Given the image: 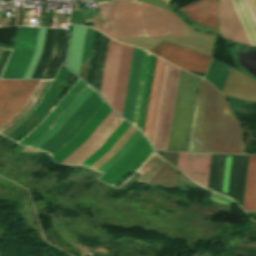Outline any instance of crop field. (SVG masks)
<instances>
[{
  "mask_svg": "<svg viewBox=\"0 0 256 256\" xmlns=\"http://www.w3.org/2000/svg\"><path fill=\"white\" fill-rule=\"evenodd\" d=\"M188 151L245 154L241 127L226 99L202 79Z\"/></svg>",
  "mask_w": 256,
  "mask_h": 256,
  "instance_id": "crop-field-1",
  "label": "crop field"
},
{
  "mask_svg": "<svg viewBox=\"0 0 256 256\" xmlns=\"http://www.w3.org/2000/svg\"><path fill=\"white\" fill-rule=\"evenodd\" d=\"M104 23L93 26L113 39L183 35L173 14L133 0L97 2Z\"/></svg>",
  "mask_w": 256,
  "mask_h": 256,
  "instance_id": "crop-field-2",
  "label": "crop field"
},
{
  "mask_svg": "<svg viewBox=\"0 0 256 256\" xmlns=\"http://www.w3.org/2000/svg\"><path fill=\"white\" fill-rule=\"evenodd\" d=\"M97 95L98 93L87 85L77 96V98L75 97L76 99L62 113L55 123L32 144H30L29 147L44 151L51 156L56 154L60 149H62L66 144L76 137V135L105 103L100 95Z\"/></svg>",
  "mask_w": 256,
  "mask_h": 256,
  "instance_id": "crop-field-3",
  "label": "crop field"
},
{
  "mask_svg": "<svg viewBox=\"0 0 256 256\" xmlns=\"http://www.w3.org/2000/svg\"><path fill=\"white\" fill-rule=\"evenodd\" d=\"M179 70L167 62H162L159 86L153 114L149 141L154 150H166Z\"/></svg>",
  "mask_w": 256,
  "mask_h": 256,
  "instance_id": "crop-field-4",
  "label": "crop field"
},
{
  "mask_svg": "<svg viewBox=\"0 0 256 256\" xmlns=\"http://www.w3.org/2000/svg\"><path fill=\"white\" fill-rule=\"evenodd\" d=\"M132 49L131 46L122 45L112 40L109 42L101 93L111 108L120 115L122 114Z\"/></svg>",
  "mask_w": 256,
  "mask_h": 256,
  "instance_id": "crop-field-5",
  "label": "crop field"
},
{
  "mask_svg": "<svg viewBox=\"0 0 256 256\" xmlns=\"http://www.w3.org/2000/svg\"><path fill=\"white\" fill-rule=\"evenodd\" d=\"M198 78L181 71L167 150L185 151Z\"/></svg>",
  "mask_w": 256,
  "mask_h": 256,
  "instance_id": "crop-field-6",
  "label": "crop field"
},
{
  "mask_svg": "<svg viewBox=\"0 0 256 256\" xmlns=\"http://www.w3.org/2000/svg\"><path fill=\"white\" fill-rule=\"evenodd\" d=\"M139 134L140 132L124 120L103 144V146L81 165L102 172L122 156ZM140 136L141 134L139 137ZM139 137L134 141V143L139 139ZM134 143L129 147V149L134 145ZM129 149L124 153V155L129 151ZM124 155L119 160H121ZM119 160L103 171V173L109 170Z\"/></svg>",
  "mask_w": 256,
  "mask_h": 256,
  "instance_id": "crop-field-7",
  "label": "crop field"
},
{
  "mask_svg": "<svg viewBox=\"0 0 256 256\" xmlns=\"http://www.w3.org/2000/svg\"><path fill=\"white\" fill-rule=\"evenodd\" d=\"M32 28L19 27L14 51L1 78L15 79L26 53ZM38 28H33L29 46L16 79H22L34 54Z\"/></svg>",
  "mask_w": 256,
  "mask_h": 256,
  "instance_id": "crop-field-8",
  "label": "crop field"
},
{
  "mask_svg": "<svg viewBox=\"0 0 256 256\" xmlns=\"http://www.w3.org/2000/svg\"><path fill=\"white\" fill-rule=\"evenodd\" d=\"M174 65L191 72L205 73L210 57L162 42L149 51Z\"/></svg>",
  "mask_w": 256,
  "mask_h": 256,
  "instance_id": "crop-field-9",
  "label": "crop field"
},
{
  "mask_svg": "<svg viewBox=\"0 0 256 256\" xmlns=\"http://www.w3.org/2000/svg\"><path fill=\"white\" fill-rule=\"evenodd\" d=\"M123 120L112 111L89 139L61 164L80 165L102 146Z\"/></svg>",
  "mask_w": 256,
  "mask_h": 256,
  "instance_id": "crop-field-10",
  "label": "crop field"
},
{
  "mask_svg": "<svg viewBox=\"0 0 256 256\" xmlns=\"http://www.w3.org/2000/svg\"><path fill=\"white\" fill-rule=\"evenodd\" d=\"M152 151L149 143L142 136L126 156L101 176L99 180L113 186L129 171L135 172Z\"/></svg>",
  "mask_w": 256,
  "mask_h": 256,
  "instance_id": "crop-field-11",
  "label": "crop field"
},
{
  "mask_svg": "<svg viewBox=\"0 0 256 256\" xmlns=\"http://www.w3.org/2000/svg\"><path fill=\"white\" fill-rule=\"evenodd\" d=\"M210 157L211 154L179 153L177 169L206 187Z\"/></svg>",
  "mask_w": 256,
  "mask_h": 256,
  "instance_id": "crop-field-12",
  "label": "crop field"
},
{
  "mask_svg": "<svg viewBox=\"0 0 256 256\" xmlns=\"http://www.w3.org/2000/svg\"><path fill=\"white\" fill-rule=\"evenodd\" d=\"M219 26L221 36L248 45L229 0L219 2Z\"/></svg>",
  "mask_w": 256,
  "mask_h": 256,
  "instance_id": "crop-field-13",
  "label": "crop field"
},
{
  "mask_svg": "<svg viewBox=\"0 0 256 256\" xmlns=\"http://www.w3.org/2000/svg\"><path fill=\"white\" fill-rule=\"evenodd\" d=\"M234 69H231L222 93L246 101H256V81Z\"/></svg>",
  "mask_w": 256,
  "mask_h": 256,
  "instance_id": "crop-field-14",
  "label": "crop field"
},
{
  "mask_svg": "<svg viewBox=\"0 0 256 256\" xmlns=\"http://www.w3.org/2000/svg\"><path fill=\"white\" fill-rule=\"evenodd\" d=\"M52 81H39L28 102L7 122L0 126V133L6 134L24 121L39 105Z\"/></svg>",
  "mask_w": 256,
  "mask_h": 256,
  "instance_id": "crop-field-15",
  "label": "crop field"
},
{
  "mask_svg": "<svg viewBox=\"0 0 256 256\" xmlns=\"http://www.w3.org/2000/svg\"><path fill=\"white\" fill-rule=\"evenodd\" d=\"M151 57H152L151 54H149L147 52L144 53L143 65H142V70H141V76H140L138 93H137L133 121H132V124L134 126H136L137 128L139 127V121H140V116H141V111H142V105H143V100H144V94H145V89H146V84H147V78H148V73H149V68H150ZM154 58H155V56L153 55L149 78H148L147 89H146V95H145V100H144V105H143V111H142V116H141V121H140V127H139L140 131L142 130V124H143V119H144V113H145V108H146V102H147L150 80H151V75H152V69H153V64H154Z\"/></svg>",
  "mask_w": 256,
  "mask_h": 256,
  "instance_id": "crop-field-16",
  "label": "crop field"
},
{
  "mask_svg": "<svg viewBox=\"0 0 256 256\" xmlns=\"http://www.w3.org/2000/svg\"><path fill=\"white\" fill-rule=\"evenodd\" d=\"M186 14L202 25L218 28L217 0H200L181 8Z\"/></svg>",
  "mask_w": 256,
  "mask_h": 256,
  "instance_id": "crop-field-17",
  "label": "crop field"
},
{
  "mask_svg": "<svg viewBox=\"0 0 256 256\" xmlns=\"http://www.w3.org/2000/svg\"><path fill=\"white\" fill-rule=\"evenodd\" d=\"M143 53L144 51L141 49H137V48L134 49L130 79L128 84L124 114H123V117L128 119L130 122L132 121V115H133L138 81H139L140 70L142 65Z\"/></svg>",
  "mask_w": 256,
  "mask_h": 256,
  "instance_id": "crop-field-18",
  "label": "crop field"
},
{
  "mask_svg": "<svg viewBox=\"0 0 256 256\" xmlns=\"http://www.w3.org/2000/svg\"><path fill=\"white\" fill-rule=\"evenodd\" d=\"M102 107V106H101ZM111 110L106 105L97 112V114L91 119V121L85 126V128L79 133V135L71 141L67 146H65L61 151H59L55 156L52 158L56 163H59L63 160L67 155H69L74 149H76L80 144H82L87 137L94 131V129L101 123V121L108 115Z\"/></svg>",
  "mask_w": 256,
  "mask_h": 256,
  "instance_id": "crop-field-19",
  "label": "crop field"
},
{
  "mask_svg": "<svg viewBox=\"0 0 256 256\" xmlns=\"http://www.w3.org/2000/svg\"><path fill=\"white\" fill-rule=\"evenodd\" d=\"M85 84L86 83L79 80L77 84L71 89V91L65 96V98L52 111V113L46 118V120L20 143L27 146L34 139H36L40 134H42L46 129H48L53 124V122L58 118V116L63 112V110L68 106V104L73 100V98L78 94V92L83 88Z\"/></svg>",
  "mask_w": 256,
  "mask_h": 256,
  "instance_id": "crop-field-20",
  "label": "crop field"
},
{
  "mask_svg": "<svg viewBox=\"0 0 256 256\" xmlns=\"http://www.w3.org/2000/svg\"><path fill=\"white\" fill-rule=\"evenodd\" d=\"M247 41L250 46L256 47V21L247 0H230Z\"/></svg>",
  "mask_w": 256,
  "mask_h": 256,
  "instance_id": "crop-field-21",
  "label": "crop field"
},
{
  "mask_svg": "<svg viewBox=\"0 0 256 256\" xmlns=\"http://www.w3.org/2000/svg\"><path fill=\"white\" fill-rule=\"evenodd\" d=\"M38 81H22L9 102L0 110V124L14 115L26 101ZM26 103V102H25ZM24 103V104H25Z\"/></svg>",
  "mask_w": 256,
  "mask_h": 256,
  "instance_id": "crop-field-22",
  "label": "crop field"
},
{
  "mask_svg": "<svg viewBox=\"0 0 256 256\" xmlns=\"http://www.w3.org/2000/svg\"><path fill=\"white\" fill-rule=\"evenodd\" d=\"M86 28L73 26L67 58L68 68L76 75L79 73Z\"/></svg>",
  "mask_w": 256,
  "mask_h": 256,
  "instance_id": "crop-field-23",
  "label": "crop field"
},
{
  "mask_svg": "<svg viewBox=\"0 0 256 256\" xmlns=\"http://www.w3.org/2000/svg\"><path fill=\"white\" fill-rule=\"evenodd\" d=\"M243 209L256 210V156H250Z\"/></svg>",
  "mask_w": 256,
  "mask_h": 256,
  "instance_id": "crop-field-24",
  "label": "crop field"
},
{
  "mask_svg": "<svg viewBox=\"0 0 256 256\" xmlns=\"http://www.w3.org/2000/svg\"><path fill=\"white\" fill-rule=\"evenodd\" d=\"M178 180L179 178L174 168L165 162L157 173L151 178L149 183L172 188Z\"/></svg>",
  "mask_w": 256,
  "mask_h": 256,
  "instance_id": "crop-field-25",
  "label": "crop field"
},
{
  "mask_svg": "<svg viewBox=\"0 0 256 256\" xmlns=\"http://www.w3.org/2000/svg\"><path fill=\"white\" fill-rule=\"evenodd\" d=\"M229 70L230 68L213 60L205 79L212 82L220 91H222Z\"/></svg>",
  "mask_w": 256,
  "mask_h": 256,
  "instance_id": "crop-field-26",
  "label": "crop field"
},
{
  "mask_svg": "<svg viewBox=\"0 0 256 256\" xmlns=\"http://www.w3.org/2000/svg\"><path fill=\"white\" fill-rule=\"evenodd\" d=\"M161 62H162L161 59H159V58L156 59V65H155V71H154V77H153V83H152V89H151V95H150V101H149L145 131H144V134L146 135L147 138H149V132H150L152 114H153V109H154L156 91H157V86H158Z\"/></svg>",
  "mask_w": 256,
  "mask_h": 256,
  "instance_id": "crop-field-27",
  "label": "crop field"
},
{
  "mask_svg": "<svg viewBox=\"0 0 256 256\" xmlns=\"http://www.w3.org/2000/svg\"><path fill=\"white\" fill-rule=\"evenodd\" d=\"M163 163L164 161L154 153L151 158L138 171L139 173L143 174L138 181L148 182L150 178L156 173V171L162 166Z\"/></svg>",
  "mask_w": 256,
  "mask_h": 256,
  "instance_id": "crop-field-28",
  "label": "crop field"
},
{
  "mask_svg": "<svg viewBox=\"0 0 256 256\" xmlns=\"http://www.w3.org/2000/svg\"><path fill=\"white\" fill-rule=\"evenodd\" d=\"M21 81H0V109L12 97Z\"/></svg>",
  "mask_w": 256,
  "mask_h": 256,
  "instance_id": "crop-field-29",
  "label": "crop field"
},
{
  "mask_svg": "<svg viewBox=\"0 0 256 256\" xmlns=\"http://www.w3.org/2000/svg\"><path fill=\"white\" fill-rule=\"evenodd\" d=\"M45 30L46 28H40L39 30V35H38V40H37V45H36V50H35V54L31 60V63L27 69V72L24 76L23 79H30L32 74H33V71L35 69V66L38 62V59L41 55V51H42V46H43V40H44V35H45Z\"/></svg>",
  "mask_w": 256,
  "mask_h": 256,
  "instance_id": "crop-field-30",
  "label": "crop field"
},
{
  "mask_svg": "<svg viewBox=\"0 0 256 256\" xmlns=\"http://www.w3.org/2000/svg\"><path fill=\"white\" fill-rule=\"evenodd\" d=\"M91 43L92 42L84 45V49H83V55H82L80 73H79V77H81L83 80L86 79V73H87V67H88Z\"/></svg>",
  "mask_w": 256,
  "mask_h": 256,
  "instance_id": "crop-field-31",
  "label": "crop field"
},
{
  "mask_svg": "<svg viewBox=\"0 0 256 256\" xmlns=\"http://www.w3.org/2000/svg\"><path fill=\"white\" fill-rule=\"evenodd\" d=\"M70 23L85 26L84 9H71Z\"/></svg>",
  "mask_w": 256,
  "mask_h": 256,
  "instance_id": "crop-field-32",
  "label": "crop field"
},
{
  "mask_svg": "<svg viewBox=\"0 0 256 256\" xmlns=\"http://www.w3.org/2000/svg\"><path fill=\"white\" fill-rule=\"evenodd\" d=\"M232 158L227 157L222 192L226 193Z\"/></svg>",
  "mask_w": 256,
  "mask_h": 256,
  "instance_id": "crop-field-33",
  "label": "crop field"
},
{
  "mask_svg": "<svg viewBox=\"0 0 256 256\" xmlns=\"http://www.w3.org/2000/svg\"><path fill=\"white\" fill-rule=\"evenodd\" d=\"M249 4H250V7L253 11V14L256 18V0H248Z\"/></svg>",
  "mask_w": 256,
  "mask_h": 256,
  "instance_id": "crop-field-34",
  "label": "crop field"
},
{
  "mask_svg": "<svg viewBox=\"0 0 256 256\" xmlns=\"http://www.w3.org/2000/svg\"><path fill=\"white\" fill-rule=\"evenodd\" d=\"M160 1H163L165 2L166 4H169L170 0H160Z\"/></svg>",
  "mask_w": 256,
  "mask_h": 256,
  "instance_id": "crop-field-35",
  "label": "crop field"
},
{
  "mask_svg": "<svg viewBox=\"0 0 256 256\" xmlns=\"http://www.w3.org/2000/svg\"><path fill=\"white\" fill-rule=\"evenodd\" d=\"M2 51H3V50H2V49H0V55H1Z\"/></svg>",
  "mask_w": 256,
  "mask_h": 256,
  "instance_id": "crop-field-36",
  "label": "crop field"
}]
</instances>
